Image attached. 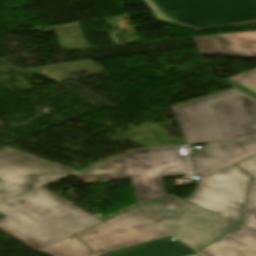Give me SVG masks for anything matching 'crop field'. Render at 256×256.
<instances>
[{
	"label": "crop field",
	"mask_w": 256,
	"mask_h": 256,
	"mask_svg": "<svg viewBox=\"0 0 256 256\" xmlns=\"http://www.w3.org/2000/svg\"><path fill=\"white\" fill-rule=\"evenodd\" d=\"M0 213V229L33 250L101 222L41 188L0 203Z\"/></svg>",
	"instance_id": "1"
},
{
	"label": "crop field",
	"mask_w": 256,
	"mask_h": 256,
	"mask_svg": "<svg viewBox=\"0 0 256 256\" xmlns=\"http://www.w3.org/2000/svg\"><path fill=\"white\" fill-rule=\"evenodd\" d=\"M172 109L187 144L256 139V100L235 88Z\"/></svg>",
	"instance_id": "2"
},
{
	"label": "crop field",
	"mask_w": 256,
	"mask_h": 256,
	"mask_svg": "<svg viewBox=\"0 0 256 256\" xmlns=\"http://www.w3.org/2000/svg\"><path fill=\"white\" fill-rule=\"evenodd\" d=\"M178 147L142 149L75 176H132L139 205L164 194L161 176L189 173ZM153 200V199H152Z\"/></svg>",
	"instance_id": "3"
},
{
	"label": "crop field",
	"mask_w": 256,
	"mask_h": 256,
	"mask_svg": "<svg viewBox=\"0 0 256 256\" xmlns=\"http://www.w3.org/2000/svg\"><path fill=\"white\" fill-rule=\"evenodd\" d=\"M135 211L152 220L195 250H199L239 223L167 194ZM171 213L168 217L163 214Z\"/></svg>",
	"instance_id": "4"
},
{
	"label": "crop field",
	"mask_w": 256,
	"mask_h": 256,
	"mask_svg": "<svg viewBox=\"0 0 256 256\" xmlns=\"http://www.w3.org/2000/svg\"><path fill=\"white\" fill-rule=\"evenodd\" d=\"M166 22L197 29L256 20V0H144Z\"/></svg>",
	"instance_id": "5"
},
{
	"label": "crop field",
	"mask_w": 256,
	"mask_h": 256,
	"mask_svg": "<svg viewBox=\"0 0 256 256\" xmlns=\"http://www.w3.org/2000/svg\"><path fill=\"white\" fill-rule=\"evenodd\" d=\"M77 171L7 147L0 149V201Z\"/></svg>",
	"instance_id": "6"
},
{
	"label": "crop field",
	"mask_w": 256,
	"mask_h": 256,
	"mask_svg": "<svg viewBox=\"0 0 256 256\" xmlns=\"http://www.w3.org/2000/svg\"><path fill=\"white\" fill-rule=\"evenodd\" d=\"M248 180L232 165L196 181L197 188L187 200L240 223Z\"/></svg>",
	"instance_id": "7"
},
{
	"label": "crop field",
	"mask_w": 256,
	"mask_h": 256,
	"mask_svg": "<svg viewBox=\"0 0 256 256\" xmlns=\"http://www.w3.org/2000/svg\"><path fill=\"white\" fill-rule=\"evenodd\" d=\"M167 234L161 227L131 210L77 235L99 253Z\"/></svg>",
	"instance_id": "8"
},
{
	"label": "crop field",
	"mask_w": 256,
	"mask_h": 256,
	"mask_svg": "<svg viewBox=\"0 0 256 256\" xmlns=\"http://www.w3.org/2000/svg\"><path fill=\"white\" fill-rule=\"evenodd\" d=\"M206 154L188 155L192 174L205 178L256 154V142L208 144Z\"/></svg>",
	"instance_id": "9"
},
{
	"label": "crop field",
	"mask_w": 256,
	"mask_h": 256,
	"mask_svg": "<svg viewBox=\"0 0 256 256\" xmlns=\"http://www.w3.org/2000/svg\"><path fill=\"white\" fill-rule=\"evenodd\" d=\"M201 55L256 58V31L194 38Z\"/></svg>",
	"instance_id": "10"
},
{
	"label": "crop field",
	"mask_w": 256,
	"mask_h": 256,
	"mask_svg": "<svg viewBox=\"0 0 256 256\" xmlns=\"http://www.w3.org/2000/svg\"><path fill=\"white\" fill-rule=\"evenodd\" d=\"M200 252L206 256H256V230L242 225Z\"/></svg>",
	"instance_id": "11"
},
{
	"label": "crop field",
	"mask_w": 256,
	"mask_h": 256,
	"mask_svg": "<svg viewBox=\"0 0 256 256\" xmlns=\"http://www.w3.org/2000/svg\"><path fill=\"white\" fill-rule=\"evenodd\" d=\"M167 236L158 240L134 245L99 256H183L195 252L179 240Z\"/></svg>",
	"instance_id": "12"
},
{
	"label": "crop field",
	"mask_w": 256,
	"mask_h": 256,
	"mask_svg": "<svg viewBox=\"0 0 256 256\" xmlns=\"http://www.w3.org/2000/svg\"><path fill=\"white\" fill-rule=\"evenodd\" d=\"M48 256H93L91 251L75 235L39 250Z\"/></svg>",
	"instance_id": "13"
},
{
	"label": "crop field",
	"mask_w": 256,
	"mask_h": 256,
	"mask_svg": "<svg viewBox=\"0 0 256 256\" xmlns=\"http://www.w3.org/2000/svg\"><path fill=\"white\" fill-rule=\"evenodd\" d=\"M237 165L252 176L243 224L256 229V156Z\"/></svg>",
	"instance_id": "14"
},
{
	"label": "crop field",
	"mask_w": 256,
	"mask_h": 256,
	"mask_svg": "<svg viewBox=\"0 0 256 256\" xmlns=\"http://www.w3.org/2000/svg\"><path fill=\"white\" fill-rule=\"evenodd\" d=\"M222 81L256 99V68Z\"/></svg>",
	"instance_id": "15"
},
{
	"label": "crop field",
	"mask_w": 256,
	"mask_h": 256,
	"mask_svg": "<svg viewBox=\"0 0 256 256\" xmlns=\"http://www.w3.org/2000/svg\"><path fill=\"white\" fill-rule=\"evenodd\" d=\"M109 181L131 179V177H104Z\"/></svg>",
	"instance_id": "16"
},
{
	"label": "crop field",
	"mask_w": 256,
	"mask_h": 256,
	"mask_svg": "<svg viewBox=\"0 0 256 256\" xmlns=\"http://www.w3.org/2000/svg\"><path fill=\"white\" fill-rule=\"evenodd\" d=\"M193 256H202V255H200V254L197 253L196 255H193Z\"/></svg>",
	"instance_id": "17"
},
{
	"label": "crop field",
	"mask_w": 256,
	"mask_h": 256,
	"mask_svg": "<svg viewBox=\"0 0 256 256\" xmlns=\"http://www.w3.org/2000/svg\"><path fill=\"white\" fill-rule=\"evenodd\" d=\"M95 256H97V255H95Z\"/></svg>",
	"instance_id": "18"
}]
</instances>
